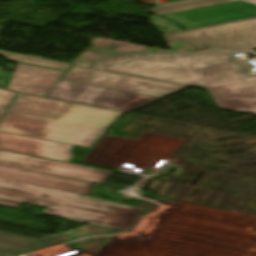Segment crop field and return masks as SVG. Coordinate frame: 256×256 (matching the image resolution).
Listing matches in <instances>:
<instances>
[{"mask_svg":"<svg viewBox=\"0 0 256 256\" xmlns=\"http://www.w3.org/2000/svg\"><path fill=\"white\" fill-rule=\"evenodd\" d=\"M44 96L122 112H128L159 99L59 79Z\"/></svg>","mask_w":256,"mask_h":256,"instance_id":"obj_5","label":"crop field"},{"mask_svg":"<svg viewBox=\"0 0 256 256\" xmlns=\"http://www.w3.org/2000/svg\"><path fill=\"white\" fill-rule=\"evenodd\" d=\"M166 1H168V2H172V1H178V0H166Z\"/></svg>","mask_w":256,"mask_h":256,"instance_id":"obj_14","label":"crop field"},{"mask_svg":"<svg viewBox=\"0 0 256 256\" xmlns=\"http://www.w3.org/2000/svg\"><path fill=\"white\" fill-rule=\"evenodd\" d=\"M17 92H9L6 90L0 89V117L3 114V112L6 110L14 96Z\"/></svg>","mask_w":256,"mask_h":256,"instance_id":"obj_12","label":"crop field"},{"mask_svg":"<svg viewBox=\"0 0 256 256\" xmlns=\"http://www.w3.org/2000/svg\"><path fill=\"white\" fill-rule=\"evenodd\" d=\"M230 1H237V0H183V1L172 2V3L156 6V9L146 11L145 13L154 12L157 15H162V14H168V13H173L177 11L197 8V7L211 5V4L230 2Z\"/></svg>","mask_w":256,"mask_h":256,"instance_id":"obj_10","label":"crop field"},{"mask_svg":"<svg viewBox=\"0 0 256 256\" xmlns=\"http://www.w3.org/2000/svg\"><path fill=\"white\" fill-rule=\"evenodd\" d=\"M187 29L256 17V5L237 1L163 15Z\"/></svg>","mask_w":256,"mask_h":256,"instance_id":"obj_7","label":"crop field"},{"mask_svg":"<svg viewBox=\"0 0 256 256\" xmlns=\"http://www.w3.org/2000/svg\"><path fill=\"white\" fill-rule=\"evenodd\" d=\"M1 55L5 56L10 61L46 66L51 68L63 69V70H66L67 67L69 66L65 64L54 63V62L44 61L40 59H35V58L20 56L16 54L5 53V52H1Z\"/></svg>","mask_w":256,"mask_h":256,"instance_id":"obj_11","label":"crop field"},{"mask_svg":"<svg viewBox=\"0 0 256 256\" xmlns=\"http://www.w3.org/2000/svg\"><path fill=\"white\" fill-rule=\"evenodd\" d=\"M93 184L0 166V204L43 206L47 214L129 230L142 209L87 199Z\"/></svg>","mask_w":256,"mask_h":256,"instance_id":"obj_2","label":"crop field"},{"mask_svg":"<svg viewBox=\"0 0 256 256\" xmlns=\"http://www.w3.org/2000/svg\"><path fill=\"white\" fill-rule=\"evenodd\" d=\"M166 41L209 45L202 52L177 53L219 108L256 114V75L233 53L256 49V18L163 35Z\"/></svg>","mask_w":256,"mask_h":256,"instance_id":"obj_1","label":"crop field"},{"mask_svg":"<svg viewBox=\"0 0 256 256\" xmlns=\"http://www.w3.org/2000/svg\"><path fill=\"white\" fill-rule=\"evenodd\" d=\"M0 164L102 184L111 171L0 151Z\"/></svg>","mask_w":256,"mask_h":256,"instance_id":"obj_6","label":"crop field"},{"mask_svg":"<svg viewBox=\"0 0 256 256\" xmlns=\"http://www.w3.org/2000/svg\"><path fill=\"white\" fill-rule=\"evenodd\" d=\"M62 79L159 98L188 86L202 88L176 53L110 57L91 68L73 65Z\"/></svg>","mask_w":256,"mask_h":256,"instance_id":"obj_4","label":"crop field"},{"mask_svg":"<svg viewBox=\"0 0 256 256\" xmlns=\"http://www.w3.org/2000/svg\"><path fill=\"white\" fill-rule=\"evenodd\" d=\"M7 82L5 81H0V88L4 89V87L6 86Z\"/></svg>","mask_w":256,"mask_h":256,"instance_id":"obj_13","label":"crop field"},{"mask_svg":"<svg viewBox=\"0 0 256 256\" xmlns=\"http://www.w3.org/2000/svg\"><path fill=\"white\" fill-rule=\"evenodd\" d=\"M250 1H254V2H256V0H250Z\"/></svg>","mask_w":256,"mask_h":256,"instance_id":"obj_15","label":"crop field"},{"mask_svg":"<svg viewBox=\"0 0 256 256\" xmlns=\"http://www.w3.org/2000/svg\"><path fill=\"white\" fill-rule=\"evenodd\" d=\"M123 113L19 93L0 131L90 148Z\"/></svg>","mask_w":256,"mask_h":256,"instance_id":"obj_3","label":"crop field"},{"mask_svg":"<svg viewBox=\"0 0 256 256\" xmlns=\"http://www.w3.org/2000/svg\"><path fill=\"white\" fill-rule=\"evenodd\" d=\"M0 149L70 162L72 146L0 132Z\"/></svg>","mask_w":256,"mask_h":256,"instance_id":"obj_8","label":"crop field"},{"mask_svg":"<svg viewBox=\"0 0 256 256\" xmlns=\"http://www.w3.org/2000/svg\"><path fill=\"white\" fill-rule=\"evenodd\" d=\"M62 72L18 63L6 89L43 96Z\"/></svg>","mask_w":256,"mask_h":256,"instance_id":"obj_9","label":"crop field"}]
</instances>
